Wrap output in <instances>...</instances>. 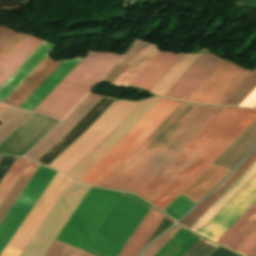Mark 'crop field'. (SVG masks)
<instances>
[{"label": "crop field", "instance_id": "8a807250", "mask_svg": "<svg viewBox=\"0 0 256 256\" xmlns=\"http://www.w3.org/2000/svg\"><path fill=\"white\" fill-rule=\"evenodd\" d=\"M222 108L181 102L145 142L98 186L137 194Z\"/></svg>", "mask_w": 256, "mask_h": 256}, {"label": "crop field", "instance_id": "ac0d7876", "mask_svg": "<svg viewBox=\"0 0 256 256\" xmlns=\"http://www.w3.org/2000/svg\"><path fill=\"white\" fill-rule=\"evenodd\" d=\"M255 117L256 109L224 107L181 154L137 195L163 210L212 164Z\"/></svg>", "mask_w": 256, "mask_h": 256}, {"label": "crop field", "instance_id": "34b2d1b8", "mask_svg": "<svg viewBox=\"0 0 256 256\" xmlns=\"http://www.w3.org/2000/svg\"><path fill=\"white\" fill-rule=\"evenodd\" d=\"M120 58L114 53L87 52L34 112L63 119Z\"/></svg>", "mask_w": 256, "mask_h": 256}, {"label": "crop field", "instance_id": "412701ff", "mask_svg": "<svg viewBox=\"0 0 256 256\" xmlns=\"http://www.w3.org/2000/svg\"><path fill=\"white\" fill-rule=\"evenodd\" d=\"M151 205L123 193L85 251L98 256H118Z\"/></svg>", "mask_w": 256, "mask_h": 256}, {"label": "crop field", "instance_id": "f4fd0767", "mask_svg": "<svg viewBox=\"0 0 256 256\" xmlns=\"http://www.w3.org/2000/svg\"><path fill=\"white\" fill-rule=\"evenodd\" d=\"M179 103V101L161 98L130 132L80 180L97 186L143 143Z\"/></svg>", "mask_w": 256, "mask_h": 256}, {"label": "crop field", "instance_id": "dd49c442", "mask_svg": "<svg viewBox=\"0 0 256 256\" xmlns=\"http://www.w3.org/2000/svg\"><path fill=\"white\" fill-rule=\"evenodd\" d=\"M121 195L91 187L56 240L84 250Z\"/></svg>", "mask_w": 256, "mask_h": 256}, {"label": "crop field", "instance_id": "e52e79f7", "mask_svg": "<svg viewBox=\"0 0 256 256\" xmlns=\"http://www.w3.org/2000/svg\"><path fill=\"white\" fill-rule=\"evenodd\" d=\"M56 172L41 166L0 224V254L45 191Z\"/></svg>", "mask_w": 256, "mask_h": 256}, {"label": "crop field", "instance_id": "d8731c3e", "mask_svg": "<svg viewBox=\"0 0 256 256\" xmlns=\"http://www.w3.org/2000/svg\"><path fill=\"white\" fill-rule=\"evenodd\" d=\"M70 181L71 178L59 172L57 173L24 223L21 225L15 236L8 244V248L22 251L24 246L27 244L31 236L34 234L38 226L41 224L45 216L48 214ZM19 254V251L6 248L1 256H18Z\"/></svg>", "mask_w": 256, "mask_h": 256}, {"label": "crop field", "instance_id": "5a996713", "mask_svg": "<svg viewBox=\"0 0 256 256\" xmlns=\"http://www.w3.org/2000/svg\"><path fill=\"white\" fill-rule=\"evenodd\" d=\"M251 72L224 60L187 100L221 105Z\"/></svg>", "mask_w": 256, "mask_h": 256}, {"label": "crop field", "instance_id": "3316defc", "mask_svg": "<svg viewBox=\"0 0 256 256\" xmlns=\"http://www.w3.org/2000/svg\"><path fill=\"white\" fill-rule=\"evenodd\" d=\"M256 201V176L199 233L217 241Z\"/></svg>", "mask_w": 256, "mask_h": 256}, {"label": "crop field", "instance_id": "28ad6ade", "mask_svg": "<svg viewBox=\"0 0 256 256\" xmlns=\"http://www.w3.org/2000/svg\"><path fill=\"white\" fill-rule=\"evenodd\" d=\"M229 172L230 170L212 164L182 194H184L186 197L196 203L211 189H213L220 182V180ZM182 194L163 210L176 220L184 215L195 204Z\"/></svg>", "mask_w": 256, "mask_h": 256}, {"label": "crop field", "instance_id": "d1516ede", "mask_svg": "<svg viewBox=\"0 0 256 256\" xmlns=\"http://www.w3.org/2000/svg\"><path fill=\"white\" fill-rule=\"evenodd\" d=\"M100 95L88 94L76 108L44 139H42L25 157L37 161L54 144H56L67 132H69L81 118L96 104L101 98Z\"/></svg>", "mask_w": 256, "mask_h": 256}, {"label": "crop field", "instance_id": "22f410ed", "mask_svg": "<svg viewBox=\"0 0 256 256\" xmlns=\"http://www.w3.org/2000/svg\"><path fill=\"white\" fill-rule=\"evenodd\" d=\"M222 61L213 54H203L164 96L186 100Z\"/></svg>", "mask_w": 256, "mask_h": 256}, {"label": "crop field", "instance_id": "cbeb9de0", "mask_svg": "<svg viewBox=\"0 0 256 256\" xmlns=\"http://www.w3.org/2000/svg\"><path fill=\"white\" fill-rule=\"evenodd\" d=\"M62 62H54L49 54L4 103L19 107Z\"/></svg>", "mask_w": 256, "mask_h": 256}, {"label": "crop field", "instance_id": "5142ce71", "mask_svg": "<svg viewBox=\"0 0 256 256\" xmlns=\"http://www.w3.org/2000/svg\"><path fill=\"white\" fill-rule=\"evenodd\" d=\"M183 56L161 51L130 85L151 90Z\"/></svg>", "mask_w": 256, "mask_h": 256}, {"label": "crop field", "instance_id": "d9b57169", "mask_svg": "<svg viewBox=\"0 0 256 256\" xmlns=\"http://www.w3.org/2000/svg\"><path fill=\"white\" fill-rule=\"evenodd\" d=\"M164 216L174 223L169 217L151 206L119 256H137L139 251L146 245Z\"/></svg>", "mask_w": 256, "mask_h": 256}, {"label": "crop field", "instance_id": "733c2abd", "mask_svg": "<svg viewBox=\"0 0 256 256\" xmlns=\"http://www.w3.org/2000/svg\"><path fill=\"white\" fill-rule=\"evenodd\" d=\"M54 46L42 42L35 51L17 68V70L0 86V101L3 102L14 89L36 68L51 52Z\"/></svg>", "mask_w": 256, "mask_h": 256}, {"label": "crop field", "instance_id": "4a817a6b", "mask_svg": "<svg viewBox=\"0 0 256 256\" xmlns=\"http://www.w3.org/2000/svg\"><path fill=\"white\" fill-rule=\"evenodd\" d=\"M255 160L256 150L231 174V176L226 181H224L218 188H216L179 223L189 228L242 175V173Z\"/></svg>", "mask_w": 256, "mask_h": 256}, {"label": "crop field", "instance_id": "bc2a9ffb", "mask_svg": "<svg viewBox=\"0 0 256 256\" xmlns=\"http://www.w3.org/2000/svg\"><path fill=\"white\" fill-rule=\"evenodd\" d=\"M256 175V161L248 170L190 227L200 232L224 206Z\"/></svg>", "mask_w": 256, "mask_h": 256}, {"label": "crop field", "instance_id": "214f88e0", "mask_svg": "<svg viewBox=\"0 0 256 256\" xmlns=\"http://www.w3.org/2000/svg\"><path fill=\"white\" fill-rule=\"evenodd\" d=\"M82 58L65 60L42 85L20 106L33 111Z\"/></svg>", "mask_w": 256, "mask_h": 256}, {"label": "crop field", "instance_id": "92a150f3", "mask_svg": "<svg viewBox=\"0 0 256 256\" xmlns=\"http://www.w3.org/2000/svg\"><path fill=\"white\" fill-rule=\"evenodd\" d=\"M256 228V202L217 241L234 250Z\"/></svg>", "mask_w": 256, "mask_h": 256}, {"label": "crop field", "instance_id": "dafd665d", "mask_svg": "<svg viewBox=\"0 0 256 256\" xmlns=\"http://www.w3.org/2000/svg\"><path fill=\"white\" fill-rule=\"evenodd\" d=\"M42 40L27 35L0 63V85L34 51Z\"/></svg>", "mask_w": 256, "mask_h": 256}, {"label": "crop field", "instance_id": "00972430", "mask_svg": "<svg viewBox=\"0 0 256 256\" xmlns=\"http://www.w3.org/2000/svg\"><path fill=\"white\" fill-rule=\"evenodd\" d=\"M159 52L155 44L150 43L119 78H116L113 85L127 87Z\"/></svg>", "mask_w": 256, "mask_h": 256}, {"label": "crop field", "instance_id": "a9b5d70f", "mask_svg": "<svg viewBox=\"0 0 256 256\" xmlns=\"http://www.w3.org/2000/svg\"><path fill=\"white\" fill-rule=\"evenodd\" d=\"M198 238L181 228L154 256H181Z\"/></svg>", "mask_w": 256, "mask_h": 256}, {"label": "crop field", "instance_id": "4177f3b9", "mask_svg": "<svg viewBox=\"0 0 256 256\" xmlns=\"http://www.w3.org/2000/svg\"><path fill=\"white\" fill-rule=\"evenodd\" d=\"M38 167L39 164L30 161V163L28 164V166L26 167V169L19 177V179L17 180V182L15 183V185L13 186V188L11 189V191L9 192V194L0 206V222L4 218V216L6 215V213L8 212L12 204L15 202V200L17 199V197L19 196V194L26 186V184L28 183V181L30 180V178L32 177V175Z\"/></svg>", "mask_w": 256, "mask_h": 256}, {"label": "crop field", "instance_id": "730fd06b", "mask_svg": "<svg viewBox=\"0 0 256 256\" xmlns=\"http://www.w3.org/2000/svg\"><path fill=\"white\" fill-rule=\"evenodd\" d=\"M149 42L137 39L126 55L118 62V64L106 75L101 82L112 84L116 78L130 65V63L143 51Z\"/></svg>", "mask_w": 256, "mask_h": 256}, {"label": "crop field", "instance_id": "eef30255", "mask_svg": "<svg viewBox=\"0 0 256 256\" xmlns=\"http://www.w3.org/2000/svg\"><path fill=\"white\" fill-rule=\"evenodd\" d=\"M29 163V160L17 157L15 162L12 164L6 175L0 182V203L7 195L15 181L18 179L24 168Z\"/></svg>", "mask_w": 256, "mask_h": 256}, {"label": "crop field", "instance_id": "ae1a2a85", "mask_svg": "<svg viewBox=\"0 0 256 256\" xmlns=\"http://www.w3.org/2000/svg\"><path fill=\"white\" fill-rule=\"evenodd\" d=\"M44 256H94L54 240Z\"/></svg>", "mask_w": 256, "mask_h": 256}, {"label": "crop field", "instance_id": "d3111659", "mask_svg": "<svg viewBox=\"0 0 256 256\" xmlns=\"http://www.w3.org/2000/svg\"><path fill=\"white\" fill-rule=\"evenodd\" d=\"M180 227L175 226L155 240L140 256H153L178 230Z\"/></svg>", "mask_w": 256, "mask_h": 256}, {"label": "crop field", "instance_id": "750c4746", "mask_svg": "<svg viewBox=\"0 0 256 256\" xmlns=\"http://www.w3.org/2000/svg\"><path fill=\"white\" fill-rule=\"evenodd\" d=\"M25 34L13 33L0 47V62L13 50V48L25 37Z\"/></svg>", "mask_w": 256, "mask_h": 256}, {"label": "crop field", "instance_id": "bd1437ed", "mask_svg": "<svg viewBox=\"0 0 256 256\" xmlns=\"http://www.w3.org/2000/svg\"><path fill=\"white\" fill-rule=\"evenodd\" d=\"M256 247V229L235 249L243 256H247Z\"/></svg>", "mask_w": 256, "mask_h": 256}, {"label": "crop field", "instance_id": "1d83c4d3", "mask_svg": "<svg viewBox=\"0 0 256 256\" xmlns=\"http://www.w3.org/2000/svg\"><path fill=\"white\" fill-rule=\"evenodd\" d=\"M16 157L4 156L2 161L0 162V180L5 175L11 164L14 162Z\"/></svg>", "mask_w": 256, "mask_h": 256}, {"label": "crop field", "instance_id": "120bbe31", "mask_svg": "<svg viewBox=\"0 0 256 256\" xmlns=\"http://www.w3.org/2000/svg\"><path fill=\"white\" fill-rule=\"evenodd\" d=\"M255 104H256V88L249 94V96L239 106L253 107Z\"/></svg>", "mask_w": 256, "mask_h": 256}, {"label": "crop field", "instance_id": "d32e631a", "mask_svg": "<svg viewBox=\"0 0 256 256\" xmlns=\"http://www.w3.org/2000/svg\"><path fill=\"white\" fill-rule=\"evenodd\" d=\"M211 256H236V255L219 247Z\"/></svg>", "mask_w": 256, "mask_h": 256}, {"label": "crop field", "instance_id": "5866460e", "mask_svg": "<svg viewBox=\"0 0 256 256\" xmlns=\"http://www.w3.org/2000/svg\"><path fill=\"white\" fill-rule=\"evenodd\" d=\"M13 33V31L7 29L1 36H0V46L5 42V40Z\"/></svg>", "mask_w": 256, "mask_h": 256}, {"label": "crop field", "instance_id": "028f5c9d", "mask_svg": "<svg viewBox=\"0 0 256 256\" xmlns=\"http://www.w3.org/2000/svg\"><path fill=\"white\" fill-rule=\"evenodd\" d=\"M8 107V105H4L0 103V113L5 110Z\"/></svg>", "mask_w": 256, "mask_h": 256}, {"label": "crop field", "instance_id": "e1f06a70", "mask_svg": "<svg viewBox=\"0 0 256 256\" xmlns=\"http://www.w3.org/2000/svg\"><path fill=\"white\" fill-rule=\"evenodd\" d=\"M248 256H256V248Z\"/></svg>", "mask_w": 256, "mask_h": 256}, {"label": "crop field", "instance_id": "0bd39190", "mask_svg": "<svg viewBox=\"0 0 256 256\" xmlns=\"http://www.w3.org/2000/svg\"><path fill=\"white\" fill-rule=\"evenodd\" d=\"M7 28L0 27V35L6 30Z\"/></svg>", "mask_w": 256, "mask_h": 256}, {"label": "crop field", "instance_id": "b80d0937", "mask_svg": "<svg viewBox=\"0 0 256 256\" xmlns=\"http://www.w3.org/2000/svg\"><path fill=\"white\" fill-rule=\"evenodd\" d=\"M3 158V156L2 155H0V161H1V159Z\"/></svg>", "mask_w": 256, "mask_h": 256}, {"label": "crop field", "instance_id": "c035e120", "mask_svg": "<svg viewBox=\"0 0 256 256\" xmlns=\"http://www.w3.org/2000/svg\"><path fill=\"white\" fill-rule=\"evenodd\" d=\"M254 107H256V105Z\"/></svg>", "mask_w": 256, "mask_h": 256}]
</instances>
